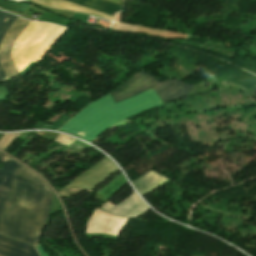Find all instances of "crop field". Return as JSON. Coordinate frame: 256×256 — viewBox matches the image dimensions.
I'll return each mask as SVG.
<instances>
[{"instance_id": "1", "label": "crop field", "mask_w": 256, "mask_h": 256, "mask_svg": "<svg viewBox=\"0 0 256 256\" xmlns=\"http://www.w3.org/2000/svg\"><path fill=\"white\" fill-rule=\"evenodd\" d=\"M52 193L33 173L16 164L0 218V234L35 245Z\"/></svg>"}, {"instance_id": "2", "label": "crop field", "mask_w": 256, "mask_h": 256, "mask_svg": "<svg viewBox=\"0 0 256 256\" xmlns=\"http://www.w3.org/2000/svg\"><path fill=\"white\" fill-rule=\"evenodd\" d=\"M161 101L152 88L116 104L107 95L90 104L60 130L91 142L110 125L158 106Z\"/></svg>"}, {"instance_id": "3", "label": "crop field", "mask_w": 256, "mask_h": 256, "mask_svg": "<svg viewBox=\"0 0 256 256\" xmlns=\"http://www.w3.org/2000/svg\"><path fill=\"white\" fill-rule=\"evenodd\" d=\"M150 87L153 88L157 96L165 103L176 98L187 96L192 85L170 79L161 82L142 70L135 77L110 94L116 103Z\"/></svg>"}, {"instance_id": "4", "label": "crop field", "mask_w": 256, "mask_h": 256, "mask_svg": "<svg viewBox=\"0 0 256 256\" xmlns=\"http://www.w3.org/2000/svg\"><path fill=\"white\" fill-rule=\"evenodd\" d=\"M29 23L30 21H26L18 17L12 27L5 34L0 44V65L4 69L8 79L18 73L17 68L11 59V52L16 39Z\"/></svg>"}, {"instance_id": "5", "label": "crop field", "mask_w": 256, "mask_h": 256, "mask_svg": "<svg viewBox=\"0 0 256 256\" xmlns=\"http://www.w3.org/2000/svg\"><path fill=\"white\" fill-rule=\"evenodd\" d=\"M118 170L117 166L107 157L100 161L98 164L78 176L67 187H80L91 190L95 187L100 181L111 173Z\"/></svg>"}, {"instance_id": "6", "label": "crop field", "mask_w": 256, "mask_h": 256, "mask_svg": "<svg viewBox=\"0 0 256 256\" xmlns=\"http://www.w3.org/2000/svg\"><path fill=\"white\" fill-rule=\"evenodd\" d=\"M100 210L122 217L139 218L150 208L133 192L117 206L108 201Z\"/></svg>"}, {"instance_id": "7", "label": "crop field", "mask_w": 256, "mask_h": 256, "mask_svg": "<svg viewBox=\"0 0 256 256\" xmlns=\"http://www.w3.org/2000/svg\"><path fill=\"white\" fill-rule=\"evenodd\" d=\"M0 254L4 256H38L34 247L0 236Z\"/></svg>"}, {"instance_id": "8", "label": "crop field", "mask_w": 256, "mask_h": 256, "mask_svg": "<svg viewBox=\"0 0 256 256\" xmlns=\"http://www.w3.org/2000/svg\"><path fill=\"white\" fill-rule=\"evenodd\" d=\"M169 179L163 175L157 174L154 171H149L135 181L131 182L136 190L143 196L150 191L156 189Z\"/></svg>"}, {"instance_id": "9", "label": "crop field", "mask_w": 256, "mask_h": 256, "mask_svg": "<svg viewBox=\"0 0 256 256\" xmlns=\"http://www.w3.org/2000/svg\"><path fill=\"white\" fill-rule=\"evenodd\" d=\"M64 1L74 3V4H77V5L86 7V8H90V9H93V10H96V11H99L102 13L112 15V16L114 15V13L122 10L121 6L123 4V0H105V1L112 2L115 4L121 5V6H118V5H115L112 3H108V2H105L102 0H64Z\"/></svg>"}, {"instance_id": "10", "label": "crop field", "mask_w": 256, "mask_h": 256, "mask_svg": "<svg viewBox=\"0 0 256 256\" xmlns=\"http://www.w3.org/2000/svg\"><path fill=\"white\" fill-rule=\"evenodd\" d=\"M31 1H34L41 5H45V6L65 10V11L86 13V14L97 16V17L109 19V20L113 19L112 16L102 14V13H99V12H96V11H93L90 9H86V8H83V7L74 5V4H70V3H67V2H64L61 0H31Z\"/></svg>"}, {"instance_id": "11", "label": "crop field", "mask_w": 256, "mask_h": 256, "mask_svg": "<svg viewBox=\"0 0 256 256\" xmlns=\"http://www.w3.org/2000/svg\"><path fill=\"white\" fill-rule=\"evenodd\" d=\"M15 162L5 161L2 170H0V214L5 201V197L8 191V187L11 181V177L14 171Z\"/></svg>"}, {"instance_id": "12", "label": "crop field", "mask_w": 256, "mask_h": 256, "mask_svg": "<svg viewBox=\"0 0 256 256\" xmlns=\"http://www.w3.org/2000/svg\"><path fill=\"white\" fill-rule=\"evenodd\" d=\"M16 16L6 14L2 11H0V41L3 37V35L6 33V31L9 29V27L13 24V22L16 20ZM7 80V77L3 71V69L0 67V82Z\"/></svg>"}, {"instance_id": "13", "label": "crop field", "mask_w": 256, "mask_h": 256, "mask_svg": "<svg viewBox=\"0 0 256 256\" xmlns=\"http://www.w3.org/2000/svg\"><path fill=\"white\" fill-rule=\"evenodd\" d=\"M21 133L16 134H4L0 139V148L6 150L8 146L20 135Z\"/></svg>"}, {"instance_id": "14", "label": "crop field", "mask_w": 256, "mask_h": 256, "mask_svg": "<svg viewBox=\"0 0 256 256\" xmlns=\"http://www.w3.org/2000/svg\"><path fill=\"white\" fill-rule=\"evenodd\" d=\"M69 119L70 118L63 116L57 122H55L52 126L44 124L40 129L57 130L61 125H63Z\"/></svg>"}, {"instance_id": "15", "label": "crop field", "mask_w": 256, "mask_h": 256, "mask_svg": "<svg viewBox=\"0 0 256 256\" xmlns=\"http://www.w3.org/2000/svg\"><path fill=\"white\" fill-rule=\"evenodd\" d=\"M79 191H81V190L80 189H66V190H62L58 193H59L60 197L69 198L70 195L75 194Z\"/></svg>"}, {"instance_id": "16", "label": "crop field", "mask_w": 256, "mask_h": 256, "mask_svg": "<svg viewBox=\"0 0 256 256\" xmlns=\"http://www.w3.org/2000/svg\"><path fill=\"white\" fill-rule=\"evenodd\" d=\"M37 248H38V250H39L41 256H47V254H46V252H45V250H44V248H43V246H42L41 244H39V245L37 246Z\"/></svg>"}, {"instance_id": "17", "label": "crop field", "mask_w": 256, "mask_h": 256, "mask_svg": "<svg viewBox=\"0 0 256 256\" xmlns=\"http://www.w3.org/2000/svg\"><path fill=\"white\" fill-rule=\"evenodd\" d=\"M4 155L0 153V161L3 160Z\"/></svg>"}, {"instance_id": "18", "label": "crop field", "mask_w": 256, "mask_h": 256, "mask_svg": "<svg viewBox=\"0 0 256 256\" xmlns=\"http://www.w3.org/2000/svg\"><path fill=\"white\" fill-rule=\"evenodd\" d=\"M1 256V255H0Z\"/></svg>"}]
</instances>
